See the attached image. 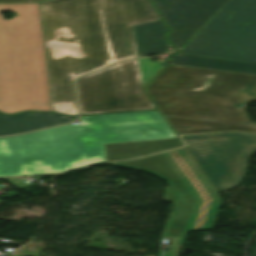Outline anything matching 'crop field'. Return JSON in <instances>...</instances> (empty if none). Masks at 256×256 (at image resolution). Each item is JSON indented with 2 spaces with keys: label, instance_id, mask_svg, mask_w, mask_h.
Segmentation results:
<instances>
[{
  "label": "crop field",
  "instance_id": "crop-field-2",
  "mask_svg": "<svg viewBox=\"0 0 256 256\" xmlns=\"http://www.w3.org/2000/svg\"><path fill=\"white\" fill-rule=\"evenodd\" d=\"M0 113L53 111L39 3L0 4Z\"/></svg>",
  "mask_w": 256,
  "mask_h": 256
},
{
  "label": "crop field",
  "instance_id": "crop-field-8",
  "mask_svg": "<svg viewBox=\"0 0 256 256\" xmlns=\"http://www.w3.org/2000/svg\"><path fill=\"white\" fill-rule=\"evenodd\" d=\"M186 148L217 193L241 183L256 135L226 133L182 137Z\"/></svg>",
  "mask_w": 256,
  "mask_h": 256
},
{
  "label": "crop field",
  "instance_id": "crop-field-16",
  "mask_svg": "<svg viewBox=\"0 0 256 256\" xmlns=\"http://www.w3.org/2000/svg\"><path fill=\"white\" fill-rule=\"evenodd\" d=\"M165 117L170 122L172 127L175 129L177 134L213 132V131H225V130H241V131L256 132V126L209 122V121L168 117V116H165Z\"/></svg>",
  "mask_w": 256,
  "mask_h": 256
},
{
  "label": "crop field",
  "instance_id": "crop-field-12",
  "mask_svg": "<svg viewBox=\"0 0 256 256\" xmlns=\"http://www.w3.org/2000/svg\"><path fill=\"white\" fill-rule=\"evenodd\" d=\"M73 119L74 117L45 113H23L14 117L0 115V136L24 133Z\"/></svg>",
  "mask_w": 256,
  "mask_h": 256
},
{
  "label": "crop field",
  "instance_id": "crop-field-20",
  "mask_svg": "<svg viewBox=\"0 0 256 256\" xmlns=\"http://www.w3.org/2000/svg\"><path fill=\"white\" fill-rule=\"evenodd\" d=\"M1 201V200H0Z\"/></svg>",
  "mask_w": 256,
  "mask_h": 256
},
{
  "label": "crop field",
  "instance_id": "crop-field-7",
  "mask_svg": "<svg viewBox=\"0 0 256 256\" xmlns=\"http://www.w3.org/2000/svg\"><path fill=\"white\" fill-rule=\"evenodd\" d=\"M81 114L156 108L142 89L137 60L76 79Z\"/></svg>",
  "mask_w": 256,
  "mask_h": 256
},
{
  "label": "crop field",
  "instance_id": "crop-field-6",
  "mask_svg": "<svg viewBox=\"0 0 256 256\" xmlns=\"http://www.w3.org/2000/svg\"><path fill=\"white\" fill-rule=\"evenodd\" d=\"M180 54L256 63V0H229Z\"/></svg>",
  "mask_w": 256,
  "mask_h": 256
},
{
  "label": "crop field",
  "instance_id": "crop-field-5",
  "mask_svg": "<svg viewBox=\"0 0 256 256\" xmlns=\"http://www.w3.org/2000/svg\"><path fill=\"white\" fill-rule=\"evenodd\" d=\"M54 112L77 114L73 79L83 75L74 0L40 2Z\"/></svg>",
  "mask_w": 256,
  "mask_h": 256
},
{
  "label": "crop field",
  "instance_id": "crop-field-9",
  "mask_svg": "<svg viewBox=\"0 0 256 256\" xmlns=\"http://www.w3.org/2000/svg\"><path fill=\"white\" fill-rule=\"evenodd\" d=\"M85 74L137 57L132 26L105 32L100 0H75Z\"/></svg>",
  "mask_w": 256,
  "mask_h": 256
},
{
  "label": "crop field",
  "instance_id": "crop-field-13",
  "mask_svg": "<svg viewBox=\"0 0 256 256\" xmlns=\"http://www.w3.org/2000/svg\"><path fill=\"white\" fill-rule=\"evenodd\" d=\"M138 57L169 52L162 20L133 26Z\"/></svg>",
  "mask_w": 256,
  "mask_h": 256
},
{
  "label": "crop field",
  "instance_id": "crop-field-14",
  "mask_svg": "<svg viewBox=\"0 0 256 256\" xmlns=\"http://www.w3.org/2000/svg\"><path fill=\"white\" fill-rule=\"evenodd\" d=\"M182 146L179 139L128 142L105 145L107 161L135 158Z\"/></svg>",
  "mask_w": 256,
  "mask_h": 256
},
{
  "label": "crop field",
  "instance_id": "crop-field-11",
  "mask_svg": "<svg viewBox=\"0 0 256 256\" xmlns=\"http://www.w3.org/2000/svg\"><path fill=\"white\" fill-rule=\"evenodd\" d=\"M105 30L158 20L148 0H101Z\"/></svg>",
  "mask_w": 256,
  "mask_h": 256
},
{
  "label": "crop field",
  "instance_id": "crop-field-17",
  "mask_svg": "<svg viewBox=\"0 0 256 256\" xmlns=\"http://www.w3.org/2000/svg\"><path fill=\"white\" fill-rule=\"evenodd\" d=\"M142 85L144 86L160 69L159 61L152 62L150 58L138 60Z\"/></svg>",
  "mask_w": 256,
  "mask_h": 256
},
{
  "label": "crop field",
  "instance_id": "crop-field-10",
  "mask_svg": "<svg viewBox=\"0 0 256 256\" xmlns=\"http://www.w3.org/2000/svg\"><path fill=\"white\" fill-rule=\"evenodd\" d=\"M226 1L227 0H153L172 31L168 39L176 49H181Z\"/></svg>",
  "mask_w": 256,
  "mask_h": 256
},
{
  "label": "crop field",
  "instance_id": "crop-field-18",
  "mask_svg": "<svg viewBox=\"0 0 256 256\" xmlns=\"http://www.w3.org/2000/svg\"><path fill=\"white\" fill-rule=\"evenodd\" d=\"M164 190H165V194L163 196V199L165 201H172V192H171L170 188L165 187Z\"/></svg>",
  "mask_w": 256,
  "mask_h": 256
},
{
  "label": "crop field",
  "instance_id": "crop-field-19",
  "mask_svg": "<svg viewBox=\"0 0 256 256\" xmlns=\"http://www.w3.org/2000/svg\"><path fill=\"white\" fill-rule=\"evenodd\" d=\"M40 0H0V3L2 2H36Z\"/></svg>",
  "mask_w": 256,
  "mask_h": 256
},
{
  "label": "crop field",
  "instance_id": "crop-field-4",
  "mask_svg": "<svg viewBox=\"0 0 256 256\" xmlns=\"http://www.w3.org/2000/svg\"><path fill=\"white\" fill-rule=\"evenodd\" d=\"M112 164L144 170L169 181L175 203L163 237L174 239L162 256H179L187 231L212 229L222 200L185 147Z\"/></svg>",
  "mask_w": 256,
  "mask_h": 256
},
{
  "label": "crop field",
  "instance_id": "crop-field-15",
  "mask_svg": "<svg viewBox=\"0 0 256 256\" xmlns=\"http://www.w3.org/2000/svg\"><path fill=\"white\" fill-rule=\"evenodd\" d=\"M169 64L256 75V64L177 55Z\"/></svg>",
  "mask_w": 256,
  "mask_h": 256
},
{
  "label": "crop field",
  "instance_id": "crop-field-1",
  "mask_svg": "<svg viewBox=\"0 0 256 256\" xmlns=\"http://www.w3.org/2000/svg\"><path fill=\"white\" fill-rule=\"evenodd\" d=\"M79 121L0 138V177L58 173L103 162L104 144L177 138L158 110L88 115Z\"/></svg>",
  "mask_w": 256,
  "mask_h": 256
},
{
  "label": "crop field",
  "instance_id": "crop-field-3",
  "mask_svg": "<svg viewBox=\"0 0 256 256\" xmlns=\"http://www.w3.org/2000/svg\"><path fill=\"white\" fill-rule=\"evenodd\" d=\"M145 90L163 115L256 125L244 111L254 75L167 65Z\"/></svg>",
  "mask_w": 256,
  "mask_h": 256
}]
</instances>
